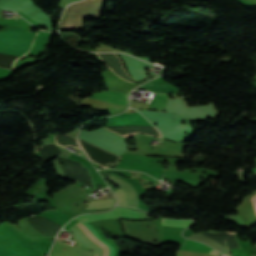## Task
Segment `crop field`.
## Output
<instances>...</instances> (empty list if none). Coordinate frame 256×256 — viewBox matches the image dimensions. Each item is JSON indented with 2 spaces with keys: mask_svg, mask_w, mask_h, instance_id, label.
Wrapping results in <instances>:
<instances>
[{
  "mask_svg": "<svg viewBox=\"0 0 256 256\" xmlns=\"http://www.w3.org/2000/svg\"><path fill=\"white\" fill-rule=\"evenodd\" d=\"M19 18V17H18ZM17 19V18H16Z\"/></svg>",
  "mask_w": 256,
  "mask_h": 256,
  "instance_id": "5142ce71",
  "label": "crop field"
},
{
  "mask_svg": "<svg viewBox=\"0 0 256 256\" xmlns=\"http://www.w3.org/2000/svg\"><path fill=\"white\" fill-rule=\"evenodd\" d=\"M16 253H14L13 251L0 246V256H15Z\"/></svg>",
  "mask_w": 256,
  "mask_h": 256,
  "instance_id": "28ad6ade",
  "label": "crop field"
},
{
  "mask_svg": "<svg viewBox=\"0 0 256 256\" xmlns=\"http://www.w3.org/2000/svg\"><path fill=\"white\" fill-rule=\"evenodd\" d=\"M162 225H180V226H189L193 222L190 220H169L161 218Z\"/></svg>",
  "mask_w": 256,
  "mask_h": 256,
  "instance_id": "5a996713",
  "label": "crop field"
},
{
  "mask_svg": "<svg viewBox=\"0 0 256 256\" xmlns=\"http://www.w3.org/2000/svg\"><path fill=\"white\" fill-rule=\"evenodd\" d=\"M108 218H137V219H151L147 214L129 210L127 208H119L107 212V213H98V214H89L79 216L76 219H80L86 222L97 220V219H108Z\"/></svg>",
  "mask_w": 256,
  "mask_h": 256,
  "instance_id": "412701ff",
  "label": "crop field"
},
{
  "mask_svg": "<svg viewBox=\"0 0 256 256\" xmlns=\"http://www.w3.org/2000/svg\"><path fill=\"white\" fill-rule=\"evenodd\" d=\"M90 237L92 238L98 245H100L103 249L98 246L92 239H90L79 227ZM76 225H74L71 230L73 231L74 235L79 239L80 242L86 244L88 247H90L92 250L98 251L97 256H113L114 255V249L109 244L102 241L94 228L88 224L79 222ZM85 245V246H86Z\"/></svg>",
  "mask_w": 256,
  "mask_h": 256,
  "instance_id": "ac0d7876",
  "label": "crop field"
},
{
  "mask_svg": "<svg viewBox=\"0 0 256 256\" xmlns=\"http://www.w3.org/2000/svg\"><path fill=\"white\" fill-rule=\"evenodd\" d=\"M255 174H256V172H255Z\"/></svg>",
  "mask_w": 256,
  "mask_h": 256,
  "instance_id": "d9b57169",
  "label": "crop field"
},
{
  "mask_svg": "<svg viewBox=\"0 0 256 256\" xmlns=\"http://www.w3.org/2000/svg\"><path fill=\"white\" fill-rule=\"evenodd\" d=\"M207 246L198 241L186 239L185 242L181 245V247L179 249L185 250V251L211 253V254L218 255L219 252H217Z\"/></svg>",
  "mask_w": 256,
  "mask_h": 256,
  "instance_id": "e52e79f7",
  "label": "crop field"
},
{
  "mask_svg": "<svg viewBox=\"0 0 256 256\" xmlns=\"http://www.w3.org/2000/svg\"><path fill=\"white\" fill-rule=\"evenodd\" d=\"M114 193H115L116 198H117V204L126 206V195L123 192V190L119 188L116 191H114Z\"/></svg>",
  "mask_w": 256,
  "mask_h": 256,
  "instance_id": "3316defc",
  "label": "crop field"
},
{
  "mask_svg": "<svg viewBox=\"0 0 256 256\" xmlns=\"http://www.w3.org/2000/svg\"><path fill=\"white\" fill-rule=\"evenodd\" d=\"M34 32H0V53L24 55L31 47Z\"/></svg>",
  "mask_w": 256,
  "mask_h": 256,
  "instance_id": "8a807250",
  "label": "crop field"
},
{
  "mask_svg": "<svg viewBox=\"0 0 256 256\" xmlns=\"http://www.w3.org/2000/svg\"><path fill=\"white\" fill-rule=\"evenodd\" d=\"M0 11H1V9H0Z\"/></svg>",
  "mask_w": 256,
  "mask_h": 256,
  "instance_id": "cbeb9de0",
  "label": "crop field"
},
{
  "mask_svg": "<svg viewBox=\"0 0 256 256\" xmlns=\"http://www.w3.org/2000/svg\"><path fill=\"white\" fill-rule=\"evenodd\" d=\"M11 71L0 69V79H6L10 75Z\"/></svg>",
  "mask_w": 256,
  "mask_h": 256,
  "instance_id": "d1516ede",
  "label": "crop field"
},
{
  "mask_svg": "<svg viewBox=\"0 0 256 256\" xmlns=\"http://www.w3.org/2000/svg\"><path fill=\"white\" fill-rule=\"evenodd\" d=\"M130 124H140V125H150L152 126L147 120H145L142 115L139 112L128 114V115H123L120 117L115 118V126H120V125H130ZM136 133L128 134V135H133ZM124 135V137L128 136Z\"/></svg>",
  "mask_w": 256,
  "mask_h": 256,
  "instance_id": "f4fd0767",
  "label": "crop field"
},
{
  "mask_svg": "<svg viewBox=\"0 0 256 256\" xmlns=\"http://www.w3.org/2000/svg\"><path fill=\"white\" fill-rule=\"evenodd\" d=\"M113 199H105L101 201H89L86 209L104 208L113 206Z\"/></svg>",
  "mask_w": 256,
  "mask_h": 256,
  "instance_id": "d8731c3e",
  "label": "crop field"
},
{
  "mask_svg": "<svg viewBox=\"0 0 256 256\" xmlns=\"http://www.w3.org/2000/svg\"><path fill=\"white\" fill-rule=\"evenodd\" d=\"M141 87H144L146 89H149L151 91L155 92L154 98L151 99L149 108L154 109H164L166 99L169 94H178V89L167 84L164 82H161L157 79L152 80L145 83Z\"/></svg>",
  "mask_w": 256,
  "mask_h": 256,
  "instance_id": "34b2d1b8",
  "label": "crop field"
},
{
  "mask_svg": "<svg viewBox=\"0 0 256 256\" xmlns=\"http://www.w3.org/2000/svg\"><path fill=\"white\" fill-rule=\"evenodd\" d=\"M214 238V237H213ZM218 241V240H217ZM228 254V253H227ZM227 254H225V255H227Z\"/></svg>",
  "mask_w": 256,
  "mask_h": 256,
  "instance_id": "22f410ed",
  "label": "crop field"
},
{
  "mask_svg": "<svg viewBox=\"0 0 256 256\" xmlns=\"http://www.w3.org/2000/svg\"><path fill=\"white\" fill-rule=\"evenodd\" d=\"M127 95L125 93L108 91L95 94L92 98L127 106Z\"/></svg>",
  "mask_w": 256,
  "mask_h": 256,
  "instance_id": "dd49c442",
  "label": "crop field"
}]
</instances>
